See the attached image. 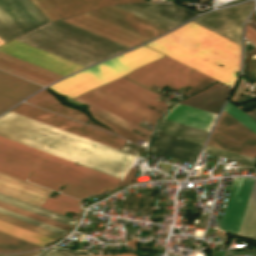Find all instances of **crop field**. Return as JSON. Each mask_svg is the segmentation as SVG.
Segmentation results:
<instances>
[{"mask_svg": "<svg viewBox=\"0 0 256 256\" xmlns=\"http://www.w3.org/2000/svg\"><path fill=\"white\" fill-rule=\"evenodd\" d=\"M201 144L154 132L149 150L193 163Z\"/></svg>", "mask_w": 256, "mask_h": 256, "instance_id": "5142ce71", "label": "crop field"}, {"mask_svg": "<svg viewBox=\"0 0 256 256\" xmlns=\"http://www.w3.org/2000/svg\"><path fill=\"white\" fill-rule=\"evenodd\" d=\"M0 51L65 76L75 72L82 66L40 51L28 45L12 40L0 46Z\"/></svg>", "mask_w": 256, "mask_h": 256, "instance_id": "28ad6ade", "label": "crop field"}, {"mask_svg": "<svg viewBox=\"0 0 256 256\" xmlns=\"http://www.w3.org/2000/svg\"><path fill=\"white\" fill-rule=\"evenodd\" d=\"M114 7L119 8L121 10L127 11L129 13H132L134 15H137L139 17L145 18L147 20H150L152 22H155L157 24L163 25L165 27H168L172 29L173 27L179 25L180 23L172 21L170 19H167L165 17L159 16L157 14H154L152 12L146 11L144 9H141L139 7L133 6L131 4H122V5H115Z\"/></svg>", "mask_w": 256, "mask_h": 256, "instance_id": "bd1437ed", "label": "crop field"}, {"mask_svg": "<svg viewBox=\"0 0 256 256\" xmlns=\"http://www.w3.org/2000/svg\"><path fill=\"white\" fill-rule=\"evenodd\" d=\"M216 116V114L176 103L164 116V119L209 131Z\"/></svg>", "mask_w": 256, "mask_h": 256, "instance_id": "4a817a6b", "label": "crop field"}, {"mask_svg": "<svg viewBox=\"0 0 256 256\" xmlns=\"http://www.w3.org/2000/svg\"><path fill=\"white\" fill-rule=\"evenodd\" d=\"M238 235L256 239V179L254 180Z\"/></svg>", "mask_w": 256, "mask_h": 256, "instance_id": "730fd06b", "label": "crop field"}, {"mask_svg": "<svg viewBox=\"0 0 256 256\" xmlns=\"http://www.w3.org/2000/svg\"><path fill=\"white\" fill-rule=\"evenodd\" d=\"M31 1L50 21L62 18L46 0Z\"/></svg>", "mask_w": 256, "mask_h": 256, "instance_id": "03da06ac", "label": "crop field"}, {"mask_svg": "<svg viewBox=\"0 0 256 256\" xmlns=\"http://www.w3.org/2000/svg\"><path fill=\"white\" fill-rule=\"evenodd\" d=\"M135 171H136V170L130 168V170H129L128 173L125 175V177L123 178V180L121 181V183L118 185V187H121L122 185L127 184V183H131V182L133 181ZM118 187H117V188H118Z\"/></svg>", "mask_w": 256, "mask_h": 256, "instance_id": "d23c7cc5", "label": "crop field"}, {"mask_svg": "<svg viewBox=\"0 0 256 256\" xmlns=\"http://www.w3.org/2000/svg\"><path fill=\"white\" fill-rule=\"evenodd\" d=\"M50 25L58 27V28L63 29L65 31L71 32V33L76 34L78 36L84 37V38L89 39L91 41H94L96 43L102 44V45L107 46L109 48L115 49L117 51H122V50L128 48L126 46L115 43L113 41H110V40L105 39L103 37H100L98 35L92 34L90 32H87V31L82 30L80 28H77L75 26L64 23L62 21L51 23Z\"/></svg>", "mask_w": 256, "mask_h": 256, "instance_id": "ae1a2a85", "label": "crop field"}, {"mask_svg": "<svg viewBox=\"0 0 256 256\" xmlns=\"http://www.w3.org/2000/svg\"><path fill=\"white\" fill-rule=\"evenodd\" d=\"M126 244L130 245L136 251V238Z\"/></svg>", "mask_w": 256, "mask_h": 256, "instance_id": "73cf0c24", "label": "crop field"}, {"mask_svg": "<svg viewBox=\"0 0 256 256\" xmlns=\"http://www.w3.org/2000/svg\"><path fill=\"white\" fill-rule=\"evenodd\" d=\"M92 16L98 17L100 19L106 20L108 22L114 23L116 25L122 26L149 38L155 37L164 33L165 31L155 28L153 26L147 25L125 15L119 14L107 8H102L90 13Z\"/></svg>", "mask_w": 256, "mask_h": 256, "instance_id": "214f88e0", "label": "crop field"}, {"mask_svg": "<svg viewBox=\"0 0 256 256\" xmlns=\"http://www.w3.org/2000/svg\"><path fill=\"white\" fill-rule=\"evenodd\" d=\"M81 256H89V255H81Z\"/></svg>", "mask_w": 256, "mask_h": 256, "instance_id": "1d79db26", "label": "crop field"}, {"mask_svg": "<svg viewBox=\"0 0 256 256\" xmlns=\"http://www.w3.org/2000/svg\"><path fill=\"white\" fill-rule=\"evenodd\" d=\"M0 135L119 178L134 158V155L11 111L0 118Z\"/></svg>", "mask_w": 256, "mask_h": 256, "instance_id": "8a807250", "label": "crop field"}, {"mask_svg": "<svg viewBox=\"0 0 256 256\" xmlns=\"http://www.w3.org/2000/svg\"><path fill=\"white\" fill-rule=\"evenodd\" d=\"M37 248L40 246L0 231V251L2 252H21Z\"/></svg>", "mask_w": 256, "mask_h": 256, "instance_id": "750c4746", "label": "crop field"}, {"mask_svg": "<svg viewBox=\"0 0 256 256\" xmlns=\"http://www.w3.org/2000/svg\"><path fill=\"white\" fill-rule=\"evenodd\" d=\"M120 256H136L135 254H121Z\"/></svg>", "mask_w": 256, "mask_h": 256, "instance_id": "1f2cbd36", "label": "crop field"}, {"mask_svg": "<svg viewBox=\"0 0 256 256\" xmlns=\"http://www.w3.org/2000/svg\"><path fill=\"white\" fill-rule=\"evenodd\" d=\"M0 213H3V214H6L8 216H11V217H14V218H17L19 220H22V221H25V222H28V223H31L33 225H36V226H39V227H42L44 229H47V230H50V231H53V232H56L58 234H61L63 235L65 233V231H62L60 229H57V228H54V227H51L49 225H46V224H43L41 222H38V221H35V220H32L30 218H27V217H24V216H21L19 214H16V213H13V212H10L8 210H5V209H2L0 208Z\"/></svg>", "mask_w": 256, "mask_h": 256, "instance_id": "b54c1fbb", "label": "crop field"}, {"mask_svg": "<svg viewBox=\"0 0 256 256\" xmlns=\"http://www.w3.org/2000/svg\"><path fill=\"white\" fill-rule=\"evenodd\" d=\"M75 100L87 105L89 107L90 111H92V112H94V113H96V114H98V115H100V116L118 124V125H121V126L127 128L129 130L135 129V130H137L139 132H142V133H144L148 136L150 134V131H148L146 129H143L139 126H136V125H134V124H132V123H130V122H128V121H126V120H124V119H122V118H120V117H118V116H116V115H114V114H112V113H110V112H108V111H106V110H104V109H102V108H100V107L82 99V98H80V97L76 98Z\"/></svg>", "mask_w": 256, "mask_h": 256, "instance_id": "1d83c4d3", "label": "crop field"}, {"mask_svg": "<svg viewBox=\"0 0 256 256\" xmlns=\"http://www.w3.org/2000/svg\"><path fill=\"white\" fill-rule=\"evenodd\" d=\"M207 144L253 158L256 154V134L224 111Z\"/></svg>", "mask_w": 256, "mask_h": 256, "instance_id": "d8731c3e", "label": "crop field"}, {"mask_svg": "<svg viewBox=\"0 0 256 256\" xmlns=\"http://www.w3.org/2000/svg\"><path fill=\"white\" fill-rule=\"evenodd\" d=\"M0 58L6 59V60H8V61H11V62L16 63V64H18V65H21V66H23V67H26V68H28V69H31V70H33V71H36V72H38V73L44 74V75L49 76V77H51V78H54V79H56V80H58V79H60V78L62 77V76H60V75H57V74H55V73H52V72H50V71H47V70H45V69H42V68H40V67H37V66H35V65H32V64H30V63H27V62H25V61H22V60H20V59H17V58H15V57H12V56L7 55V54L2 53V52H0Z\"/></svg>", "mask_w": 256, "mask_h": 256, "instance_id": "c035e120", "label": "crop field"}, {"mask_svg": "<svg viewBox=\"0 0 256 256\" xmlns=\"http://www.w3.org/2000/svg\"><path fill=\"white\" fill-rule=\"evenodd\" d=\"M112 94H115L127 101H130L144 109H147L159 116L161 114L147 108L146 106L150 105L162 112H164L168 105L156 100V98L159 96L158 94L124 78L121 77L107 85H104L100 87ZM156 104L165 107L164 109L157 106Z\"/></svg>", "mask_w": 256, "mask_h": 256, "instance_id": "cbeb9de0", "label": "crop field"}, {"mask_svg": "<svg viewBox=\"0 0 256 256\" xmlns=\"http://www.w3.org/2000/svg\"><path fill=\"white\" fill-rule=\"evenodd\" d=\"M253 180L252 178L233 179L220 230L238 234Z\"/></svg>", "mask_w": 256, "mask_h": 256, "instance_id": "d1516ede", "label": "crop field"}, {"mask_svg": "<svg viewBox=\"0 0 256 256\" xmlns=\"http://www.w3.org/2000/svg\"><path fill=\"white\" fill-rule=\"evenodd\" d=\"M90 113L92 114V116L94 118H96L98 121H100L101 123L105 124L106 126L110 127L118 135H120V136H122V137H124V138H126V139H128V140H130L132 142H134V143L138 139L147 142V139H145V138H143V137H141V136H139V135H137V134H135L133 132H130V131H128V130H126V129H124V128H122V127H120V126H118V125H116V124H114V123H112V122H110V121H108V120H106V119L96 115V114H94V113H92V112H90Z\"/></svg>", "mask_w": 256, "mask_h": 256, "instance_id": "e1f06a70", "label": "crop field"}, {"mask_svg": "<svg viewBox=\"0 0 256 256\" xmlns=\"http://www.w3.org/2000/svg\"><path fill=\"white\" fill-rule=\"evenodd\" d=\"M0 256H2V255H0Z\"/></svg>", "mask_w": 256, "mask_h": 256, "instance_id": "9d1cf04e", "label": "crop field"}, {"mask_svg": "<svg viewBox=\"0 0 256 256\" xmlns=\"http://www.w3.org/2000/svg\"><path fill=\"white\" fill-rule=\"evenodd\" d=\"M15 40L84 67L117 54V51L115 50L52 27L48 24Z\"/></svg>", "mask_w": 256, "mask_h": 256, "instance_id": "412701ff", "label": "crop field"}, {"mask_svg": "<svg viewBox=\"0 0 256 256\" xmlns=\"http://www.w3.org/2000/svg\"><path fill=\"white\" fill-rule=\"evenodd\" d=\"M0 220L6 221V222H8V223H11V224L20 226V227H22V228H25V229L34 231V232H36V233H39V234H42V235H45V236H48V237L53 238V239H56V238L61 237V235H58V234H56V233H53V232L44 230V229H42V228H39V227L33 226V225H31V224H28V223L19 221V220H17V219H14V218L5 216V215H3V214H0Z\"/></svg>", "mask_w": 256, "mask_h": 256, "instance_id": "b80d0937", "label": "crop field"}, {"mask_svg": "<svg viewBox=\"0 0 256 256\" xmlns=\"http://www.w3.org/2000/svg\"><path fill=\"white\" fill-rule=\"evenodd\" d=\"M47 22L30 0H0V38L4 42Z\"/></svg>", "mask_w": 256, "mask_h": 256, "instance_id": "e52e79f7", "label": "crop field"}, {"mask_svg": "<svg viewBox=\"0 0 256 256\" xmlns=\"http://www.w3.org/2000/svg\"><path fill=\"white\" fill-rule=\"evenodd\" d=\"M0 207L5 208V209H8V210H11V211H13V212L19 213V214L24 215V216L30 217V218H32V219L41 221V222L46 223V224H49V225H51V226L60 228V229L65 230V231H67V230L70 228V226H67V225H64V224H62V223H59V222L50 220V219H48V218H45V217L36 215V214H34V213H31V212L22 210V209H20V208H17V207L8 205V204L3 203V202H0Z\"/></svg>", "mask_w": 256, "mask_h": 256, "instance_id": "028f5c9d", "label": "crop field"}, {"mask_svg": "<svg viewBox=\"0 0 256 256\" xmlns=\"http://www.w3.org/2000/svg\"><path fill=\"white\" fill-rule=\"evenodd\" d=\"M4 256H15V255H4Z\"/></svg>", "mask_w": 256, "mask_h": 256, "instance_id": "0fb4a251", "label": "crop field"}, {"mask_svg": "<svg viewBox=\"0 0 256 256\" xmlns=\"http://www.w3.org/2000/svg\"><path fill=\"white\" fill-rule=\"evenodd\" d=\"M125 77L146 87L152 83L160 88L165 84L175 90L189 86L191 88L185 92L187 95L216 81L167 56L145 65Z\"/></svg>", "mask_w": 256, "mask_h": 256, "instance_id": "dd49c442", "label": "crop field"}, {"mask_svg": "<svg viewBox=\"0 0 256 256\" xmlns=\"http://www.w3.org/2000/svg\"><path fill=\"white\" fill-rule=\"evenodd\" d=\"M246 114H248L250 117H252L253 119L256 120V109H254Z\"/></svg>", "mask_w": 256, "mask_h": 256, "instance_id": "89e229c0", "label": "crop field"}, {"mask_svg": "<svg viewBox=\"0 0 256 256\" xmlns=\"http://www.w3.org/2000/svg\"><path fill=\"white\" fill-rule=\"evenodd\" d=\"M131 4L139 6L146 10L152 11L159 15L165 16L172 20L178 21L180 23L197 15L193 12L185 10L176 5H167V4H160V3H131Z\"/></svg>", "mask_w": 256, "mask_h": 256, "instance_id": "a9b5d70f", "label": "crop field"}, {"mask_svg": "<svg viewBox=\"0 0 256 256\" xmlns=\"http://www.w3.org/2000/svg\"><path fill=\"white\" fill-rule=\"evenodd\" d=\"M163 55L141 46L133 51L74 74L49 88L74 98L81 93L118 78L134 68L161 58Z\"/></svg>", "mask_w": 256, "mask_h": 256, "instance_id": "f4fd0767", "label": "crop field"}, {"mask_svg": "<svg viewBox=\"0 0 256 256\" xmlns=\"http://www.w3.org/2000/svg\"><path fill=\"white\" fill-rule=\"evenodd\" d=\"M78 202L79 200L59 194L58 197L55 199L48 197L47 200L43 203L42 207L55 211L62 215L67 213V211L78 214L80 210L78 208Z\"/></svg>", "mask_w": 256, "mask_h": 256, "instance_id": "d3111659", "label": "crop field"}, {"mask_svg": "<svg viewBox=\"0 0 256 256\" xmlns=\"http://www.w3.org/2000/svg\"><path fill=\"white\" fill-rule=\"evenodd\" d=\"M246 38L256 45V31L250 26H246Z\"/></svg>", "mask_w": 256, "mask_h": 256, "instance_id": "425ffa30", "label": "crop field"}, {"mask_svg": "<svg viewBox=\"0 0 256 256\" xmlns=\"http://www.w3.org/2000/svg\"><path fill=\"white\" fill-rule=\"evenodd\" d=\"M92 33L98 34L115 42L132 47L148 38L135 34L118 26L112 25L87 14L62 20ZM150 40V39H149Z\"/></svg>", "mask_w": 256, "mask_h": 256, "instance_id": "22f410ed", "label": "crop field"}, {"mask_svg": "<svg viewBox=\"0 0 256 256\" xmlns=\"http://www.w3.org/2000/svg\"><path fill=\"white\" fill-rule=\"evenodd\" d=\"M254 4L214 11L192 22L240 45L242 25Z\"/></svg>", "mask_w": 256, "mask_h": 256, "instance_id": "3316defc", "label": "crop field"}, {"mask_svg": "<svg viewBox=\"0 0 256 256\" xmlns=\"http://www.w3.org/2000/svg\"><path fill=\"white\" fill-rule=\"evenodd\" d=\"M224 111H226L228 114L233 116L239 122H241L246 127H248L249 129H251L253 132L256 133V121H254L252 118H250L244 112H242L240 109H238L232 103L228 102Z\"/></svg>", "mask_w": 256, "mask_h": 256, "instance_id": "0bd39190", "label": "crop field"}, {"mask_svg": "<svg viewBox=\"0 0 256 256\" xmlns=\"http://www.w3.org/2000/svg\"><path fill=\"white\" fill-rule=\"evenodd\" d=\"M4 43L1 39H0V44Z\"/></svg>", "mask_w": 256, "mask_h": 256, "instance_id": "dbb93151", "label": "crop field"}, {"mask_svg": "<svg viewBox=\"0 0 256 256\" xmlns=\"http://www.w3.org/2000/svg\"><path fill=\"white\" fill-rule=\"evenodd\" d=\"M37 253H39V251H35V252H29V253H22V254H18L16 256H34Z\"/></svg>", "mask_w": 256, "mask_h": 256, "instance_id": "25e5ab78", "label": "crop field"}, {"mask_svg": "<svg viewBox=\"0 0 256 256\" xmlns=\"http://www.w3.org/2000/svg\"><path fill=\"white\" fill-rule=\"evenodd\" d=\"M0 69L40 84L42 86H46L56 80L46 77L44 75L38 74L6 60L0 59Z\"/></svg>", "mask_w": 256, "mask_h": 256, "instance_id": "eef30255", "label": "crop field"}, {"mask_svg": "<svg viewBox=\"0 0 256 256\" xmlns=\"http://www.w3.org/2000/svg\"><path fill=\"white\" fill-rule=\"evenodd\" d=\"M0 192L41 206L52 190L0 172Z\"/></svg>", "mask_w": 256, "mask_h": 256, "instance_id": "733c2abd", "label": "crop field"}, {"mask_svg": "<svg viewBox=\"0 0 256 256\" xmlns=\"http://www.w3.org/2000/svg\"><path fill=\"white\" fill-rule=\"evenodd\" d=\"M89 92H91V93H93V94H95V95H97V96H99V97H101V98H103V99H105V100H107V101H109V102H111V103H113V104H115V105H117V106H119V107H121V108H123V109H125V110L143 118V119H145V120H147V121H150L154 124L159 118V116H157V115H155V114H153V113H151L147 110H144V109H142V108H140V107H138V106H136L132 103H129V102H127V101H125V100H123V99H121V98H119L115 95H112V94H110V93H108V92H106V91H104L100 88L94 89V90L89 91Z\"/></svg>", "mask_w": 256, "mask_h": 256, "instance_id": "4177f3b9", "label": "crop field"}, {"mask_svg": "<svg viewBox=\"0 0 256 256\" xmlns=\"http://www.w3.org/2000/svg\"><path fill=\"white\" fill-rule=\"evenodd\" d=\"M40 88L39 85L0 71V114Z\"/></svg>", "mask_w": 256, "mask_h": 256, "instance_id": "d9b57169", "label": "crop field"}, {"mask_svg": "<svg viewBox=\"0 0 256 256\" xmlns=\"http://www.w3.org/2000/svg\"><path fill=\"white\" fill-rule=\"evenodd\" d=\"M146 45L229 86L236 80L240 46L192 22Z\"/></svg>", "mask_w": 256, "mask_h": 256, "instance_id": "34b2d1b8", "label": "crop field"}, {"mask_svg": "<svg viewBox=\"0 0 256 256\" xmlns=\"http://www.w3.org/2000/svg\"><path fill=\"white\" fill-rule=\"evenodd\" d=\"M11 111H14L16 113L56 126L58 128L70 131L72 133L84 136L86 138L98 141L100 143L112 146L117 149H119L120 146L125 141L119 137L102 132L92 127L83 125L81 123L72 121L70 119L61 117L59 115L50 113L48 111L31 106L26 103L19 104L17 107H15Z\"/></svg>", "mask_w": 256, "mask_h": 256, "instance_id": "5a996713", "label": "crop field"}, {"mask_svg": "<svg viewBox=\"0 0 256 256\" xmlns=\"http://www.w3.org/2000/svg\"><path fill=\"white\" fill-rule=\"evenodd\" d=\"M204 152L212 153V154H215V155L223 156V157H226V158H230V159H233V160L241 161V162L252 164V165H253V162H254L253 158L242 156V155H239V154H236V153H232V152L225 151V150H222V149H218V148L208 146V145H206V147L204 149Z\"/></svg>", "mask_w": 256, "mask_h": 256, "instance_id": "c21b1889", "label": "crop field"}, {"mask_svg": "<svg viewBox=\"0 0 256 256\" xmlns=\"http://www.w3.org/2000/svg\"><path fill=\"white\" fill-rule=\"evenodd\" d=\"M63 17L82 13L118 2L144 1V0H47Z\"/></svg>", "mask_w": 256, "mask_h": 256, "instance_id": "92a150f3", "label": "crop field"}, {"mask_svg": "<svg viewBox=\"0 0 256 256\" xmlns=\"http://www.w3.org/2000/svg\"><path fill=\"white\" fill-rule=\"evenodd\" d=\"M80 97H82V98H84V99H86V100H88V101H90V102L136 124V125H138L139 121L141 120V118H139V117H137V116H135V115H133V114H131V113H129V112H127V111H125V110H123V109L89 93V92L81 95Z\"/></svg>", "mask_w": 256, "mask_h": 256, "instance_id": "d32e631a", "label": "crop field"}, {"mask_svg": "<svg viewBox=\"0 0 256 256\" xmlns=\"http://www.w3.org/2000/svg\"><path fill=\"white\" fill-rule=\"evenodd\" d=\"M156 131L167 133L201 144H203L208 134V131L200 130L164 119L159 122Z\"/></svg>", "mask_w": 256, "mask_h": 256, "instance_id": "00972430", "label": "crop field"}, {"mask_svg": "<svg viewBox=\"0 0 256 256\" xmlns=\"http://www.w3.org/2000/svg\"><path fill=\"white\" fill-rule=\"evenodd\" d=\"M26 101L30 102L32 104L41 106L43 108L52 110L54 112L60 113L62 115L71 117L73 119L79 120L83 123H85L88 119L87 116L84 115L83 113L60 104L46 89L38 92L37 94H35L34 96H32L31 98H29ZM91 126H93V125H91ZM94 127H96V126H94ZM97 128H99V127H97ZM99 129H102V128H99ZM102 130H105V129H102ZM105 131H108V130H105ZM108 132H111V131H108ZM111 133H113V132H111Z\"/></svg>", "mask_w": 256, "mask_h": 256, "instance_id": "dafd665d", "label": "crop field"}, {"mask_svg": "<svg viewBox=\"0 0 256 256\" xmlns=\"http://www.w3.org/2000/svg\"><path fill=\"white\" fill-rule=\"evenodd\" d=\"M40 256H79L69 250L63 248H50Z\"/></svg>", "mask_w": 256, "mask_h": 256, "instance_id": "5d738f31", "label": "crop field"}, {"mask_svg": "<svg viewBox=\"0 0 256 256\" xmlns=\"http://www.w3.org/2000/svg\"><path fill=\"white\" fill-rule=\"evenodd\" d=\"M0 230L11 235L17 236L19 238L25 239L27 241H30L32 243L38 244L40 246L53 240L45 236L33 233L31 231L19 228L17 226L5 223L3 221H0Z\"/></svg>", "mask_w": 256, "mask_h": 256, "instance_id": "120bbe31", "label": "crop field"}, {"mask_svg": "<svg viewBox=\"0 0 256 256\" xmlns=\"http://www.w3.org/2000/svg\"><path fill=\"white\" fill-rule=\"evenodd\" d=\"M0 171L81 200L112 190L118 179L0 136Z\"/></svg>", "mask_w": 256, "mask_h": 256, "instance_id": "ac0d7876", "label": "crop field"}, {"mask_svg": "<svg viewBox=\"0 0 256 256\" xmlns=\"http://www.w3.org/2000/svg\"><path fill=\"white\" fill-rule=\"evenodd\" d=\"M0 201L9 203V204H11V205H14V206L23 208V209H25V210H28V211H31V212H34V213H37V214H39V215H42V216L51 218V219H53V220H56V221L65 223V224L70 225V226H72L73 223L75 222L74 220L64 218V217H62V216L53 214V213H51V212L42 210V209H40V208L31 206V205H29V204H26V203H23V202H20V201H17V200H15V199L6 197V196L1 195V194H0Z\"/></svg>", "mask_w": 256, "mask_h": 256, "instance_id": "5866460e", "label": "crop field"}, {"mask_svg": "<svg viewBox=\"0 0 256 256\" xmlns=\"http://www.w3.org/2000/svg\"><path fill=\"white\" fill-rule=\"evenodd\" d=\"M230 88L216 83L205 91L196 94L190 98L180 101L189 106L203 109L209 112L218 113Z\"/></svg>", "mask_w": 256, "mask_h": 256, "instance_id": "bc2a9ffb", "label": "crop field"}]
</instances>
